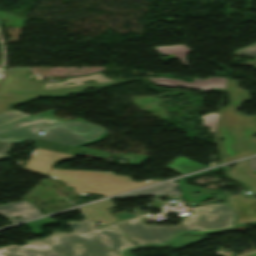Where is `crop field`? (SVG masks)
Instances as JSON below:
<instances>
[{"mask_svg":"<svg viewBox=\"0 0 256 256\" xmlns=\"http://www.w3.org/2000/svg\"><path fill=\"white\" fill-rule=\"evenodd\" d=\"M235 216L229 204H208L194 208L192 216L185 217L178 226H148L143 224L141 218L120 222L118 225L128 239L138 246L163 245L180 231L202 233L232 228Z\"/></svg>","mask_w":256,"mask_h":256,"instance_id":"1","label":"crop field"},{"mask_svg":"<svg viewBox=\"0 0 256 256\" xmlns=\"http://www.w3.org/2000/svg\"><path fill=\"white\" fill-rule=\"evenodd\" d=\"M71 234L58 232L43 239L60 256H122L124 250L136 247L116 225L96 231L90 221L69 222Z\"/></svg>","mask_w":256,"mask_h":256,"instance_id":"2","label":"crop field"},{"mask_svg":"<svg viewBox=\"0 0 256 256\" xmlns=\"http://www.w3.org/2000/svg\"><path fill=\"white\" fill-rule=\"evenodd\" d=\"M54 111L5 125L0 128V136L38 138L74 147L97 142L107 136L106 130L102 127L79 120H60L52 116ZM40 129L45 130L46 134L39 136Z\"/></svg>","mask_w":256,"mask_h":256,"instance_id":"3","label":"crop field"},{"mask_svg":"<svg viewBox=\"0 0 256 256\" xmlns=\"http://www.w3.org/2000/svg\"><path fill=\"white\" fill-rule=\"evenodd\" d=\"M28 70L4 71L0 75V97L37 98L65 97L68 93H79L87 87H108L124 81H114L103 77L102 73L69 79L58 83H41L26 79ZM140 79V78H138ZM95 80L93 84L82 83ZM137 80V79H131ZM129 81V80H125ZM74 82L75 85H64Z\"/></svg>","mask_w":256,"mask_h":256,"instance_id":"4","label":"crop field"},{"mask_svg":"<svg viewBox=\"0 0 256 256\" xmlns=\"http://www.w3.org/2000/svg\"><path fill=\"white\" fill-rule=\"evenodd\" d=\"M216 132L219 139H225L219 143L224 163L256 153V137H253L256 134V116L247 117L235 108H224ZM226 154L230 157L225 158Z\"/></svg>","mask_w":256,"mask_h":256,"instance_id":"5","label":"crop field"},{"mask_svg":"<svg viewBox=\"0 0 256 256\" xmlns=\"http://www.w3.org/2000/svg\"><path fill=\"white\" fill-rule=\"evenodd\" d=\"M48 176L62 180L66 186H73L74 191L79 194H104L106 197L159 182L134 183L129 176H116L111 172L93 171L51 169Z\"/></svg>","mask_w":256,"mask_h":256,"instance_id":"6","label":"crop field"},{"mask_svg":"<svg viewBox=\"0 0 256 256\" xmlns=\"http://www.w3.org/2000/svg\"><path fill=\"white\" fill-rule=\"evenodd\" d=\"M230 178L256 188V174L251 172L248 160L239 162L233 170L228 171ZM238 212V225L256 222V199L248 200L243 195L227 197Z\"/></svg>","mask_w":256,"mask_h":256,"instance_id":"7","label":"crop field"},{"mask_svg":"<svg viewBox=\"0 0 256 256\" xmlns=\"http://www.w3.org/2000/svg\"><path fill=\"white\" fill-rule=\"evenodd\" d=\"M69 157L73 156L36 148L24 169L47 175L56 162Z\"/></svg>","mask_w":256,"mask_h":256,"instance_id":"8","label":"crop field"},{"mask_svg":"<svg viewBox=\"0 0 256 256\" xmlns=\"http://www.w3.org/2000/svg\"><path fill=\"white\" fill-rule=\"evenodd\" d=\"M148 78L155 85H159V86L182 87V88H189V89L202 90V91H206L212 87L225 88L226 82H227V78H222V77H214L206 80L194 78L192 83H184L176 79L154 78V77H148Z\"/></svg>","mask_w":256,"mask_h":256,"instance_id":"9","label":"crop field"},{"mask_svg":"<svg viewBox=\"0 0 256 256\" xmlns=\"http://www.w3.org/2000/svg\"><path fill=\"white\" fill-rule=\"evenodd\" d=\"M28 245L0 248V256H59L43 240L27 241Z\"/></svg>","mask_w":256,"mask_h":256,"instance_id":"10","label":"crop field"},{"mask_svg":"<svg viewBox=\"0 0 256 256\" xmlns=\"http://www.w3.org/2000/svg\"><path fill=\"white\" fill-rule=\"evenodd\" d=\"M0 214L8 218L12 223L42 215L35 206L27 201L0 206ZM15 215H21L22 218L16 219Z\"/></svg>","mask_w":256,"mask_h":256,"instance_id":"11","label":"crop field"},{"mask_svg":"<svg viewBox=\"0 0 256 256\" xmlns=\"http://www.w3.org/2000/svg\"><path fill=\"white\" fill-rule=\"evenodd\" d=\"M114 208L111 199L82 207L86 214L93 220L94 223H100L103 226L117 222L118 220L111 215L107 210Z\"/></svg>","mask_w":256,"mask_h":256,"instance_id":"12","label":"crop field"},{"mask_svg":"<svg viewBox=\"0 0 256 256\" xmlns=\"http://www.w3.org/2000/svg\"><path fill=\"white\" fill-rule=\"evenodd\" d=\"M177 182L180 188L182 198L185 199L189 205L211 199L213 198L212 195L216 193V191L185 184V178L178 180ZM190 191H198L201 193L198 196H196L194 194L189 193Z\"/></svg>","mask_w":256,"mask_h":256,"instance_id":"13","label":"crop field"},{"mask_svg":"<svg viewBox=\"0 0 256 256\" xmlns=\"http://www.w3.org/2000/svg\"><path fill=\"white\" fill-rule=\"evenodd\" d=\"M161 195H170L177 196V189L174 181L157 185L154 187L146 188L136 192L128 193L125 195L117 196L115 198H124V197H136V196H161Z\"/></svg>","mask_w":256,"mask_h":256,"instance_id":"14","label":"crop field"},{"mask_svg":"<svg viewBox=\"0 0 256 256\" xmlns=\"http://www.w3.org/2000/svg\"><path fill=\"white\" fill-rule=\"evenodd\" d=\"M160 55H167L170 58H160L167 63L169 59H178L183 66H189L186 60L187 54L192 52L185 44L153 47Z\"/></svg>","mask_w":256,"mask_h":256,"instance_id":"15","label":"crop field"},{"mask_svg":"<svg viewBox=\"0 0 256 256\" xmlns=\"http://www.w3.org/2000/svg\"><path fill=\"white\" fill-rule=\"evenodd\" d=\"M225 91L229 92L231 107H238L245 101L251 100L249 91L239 88L238 82L228 80Z\"/></svg>","mask_w":256,"mask_h":256,"instance_id":"16","label":"crop field"},{"mask_svg":"<svg viewBox=\"0 0 256 256\" xmlns=\"http://www.w3.org/2000/svg\"><path fill=\"white\" fill-rule=\"evenodd\" d=\"M166 167L181 175H184L202 168H206L184 157H177L174 161H172Z\"/></svg>","mask_w":256,"mask_h":256,"instance_id":"17","label":"crop field"},{"mask_svg":"<svg viewBox=\"0 0 256 256\" xmlns=\"http://www.w3.org/2000/svg\"><path fill=\"white\" fill-rule=\"evenodd\" d=\"M69 153H81V152H86V153H90V154H94V155H98V156H103V157H107L109 155H113V154H109L103 151H98V150H94V149H89V148H84V147H80L71 151H68ZM115 156H123V157H129V158H133L130 162H128V164H132V165H137L141 162H143L145 159L148 158V156H144V155H137V154H127V155H121V154H117Z\"/></svg>","mask_w":256,"mask_h":256,"instance_id":"18","label":"crop field"},{"mask_svg":"<svg viewBox=\"0 0 256 256\" xmlns=\"http://www.w3.org/2000/svg\"><path fill=\"white\" fill-rule=\"evenodd\" d=\"M27 116L30 115L23 114L15 110H7L3 113H0V127L15 120L25 118Z\"/></svg>","mask_w":256,"mask_h":256,"instance_id":"19","label":"crop field"},{"mask_svg":"<svg viewBox=\"0 0 256 256\" xmlns=\"http://www.w3.org/2000/svg\"><path fill=\"white\" fill-rule=\"evenodd\" d=\"M235 55H249V56H254L255 59L252 61H248L245 63L241 64H246V65H251V66H256V43L253 45H250L248 47L238 49L234 51Z\"/></svg>","mask_w":256,"mask_h":256,"instance_id":"20","label":"crop field"},{"mask_svg":"<svg viewBox=\"0 0 256 256\" xmlns=\"http://www.w3.org/2000/svg\"><path fill=\"white\" fill-rule=\"evenodd\" d=\"M219 113L220 112H218V114L212 113V114L200 117V119L204 120L202 122L203 127L210 128V132L211 133H215V129H216Z\"/></svg>","mask_w":256,"mask_h":256,"instance_id":"21","label":"crop field"},{"mask_svg":"<svg viewBox=\"0 0 256 256\" xmlns=\"http://www.w3.org/2000/svg\"><path fill=\"white\" fill-rule=\"evenodd\" d=\"M36 147L39 148H44V149H49V150H55V151H60V152H65L74 148L63 146V145H58V144H52V143H46L42 141L35 140Z\"/></svg>","mask_w":256,"mask_h":256,"instance_id":"22","label":"crop field"},{"mask_svg":"<svg viewBox=\"0 0 256 256\" xmlns=\"http://www.w3.org/2000/svg\"><path fill=\"white\" fill-rule=\"evenodd\" d=\"M34 99H13V98H0V112L7 110V107L11 105V103H25L30 102Z\"/></svg>","mask_w":256,"mask_h":256,"instance_id":"23","label":"crop field"},{"mask_svg":"<svg viewBox=\"0 0 256 256\" xmlns=\"http://www.w3.org/2000/svg\"><path fill=\"white\" fill-rule=\"evenodd\" d=\"M37 223H46V224H56L58 223L57 220H54L50 217L47 218H43V219H39V220H35V221H31V222H27L25 223L30 230L34 233V234H39L42 233V231L38 230L33 224H37Z\"/></svg>","mask_w":256,"mask_h":256,"instance_id":"24","label":"crop field"},{"mask_svg":"<svg viewBox=\"0 0 256 256\" xmlns=\"http://www.w3.org/2000/svg\"><path fill=\"white\" fill-rule=\"evenodd\" d=\"M12 145L0 142V159L5 158Z\"/></svg>","mask_w":256,"mask_h":256,"instance_id":"25","label":"crop field"},{"mask_svg":"<svg viewBox=\"0 0 256 256\" xmlns=\"http://www.w3.org/2000/svg\"><path fill=\"white\" fill-rule=\"evenodd\" d=\"M0 140L12 142V143H23L25 140H33V139H21V138H5V137H0Z\"/></svg>","mask_w":256,"mask_h":256,"instance_id":"26","label":"crop field"},{"mask_svg":"<svg viewBox=\"0 0 256 256\" xmlns=\"http://www.w3.org/2000/svg\"><path fill=\"white\" fill-rule=\"evenodd\" d=\"M249 164L252 169V171H255L256 169V157L249 158Z\"/></svg>","mask_w":256,"mask_h":256,"instance_id":"27","label":"crop field"},{"mask_svg":"<svg viewBox=\"0 0 256 256\" xmlns=\"http://www.w3.org/2000/svg\"><path fill=\"white\" fill-rule=\"evenodd\" d=\"M132 217H137V216H136V215L116 216V218H117L119 221L126 220V219H129V218H132Z\"/></svg>","mask_w":256,"mask_h":256,"instance_id":"28","label":"crop field"}]
</instances>
